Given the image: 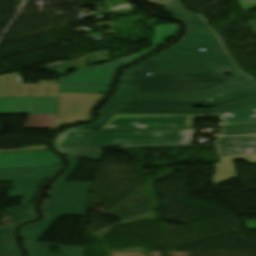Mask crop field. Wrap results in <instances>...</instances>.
I'll return each mask as SVG.
<instances>
[{"label": "crop field", "mask_w": 256, "mask_h": 256, "mask_svg": "<svg viewBox=\"0 0 256 256\" xmlns=\"http://www.w3.org/2000/svg\"><path fill=\"white\" fill-rule=\"evenodd\" d=\"M194 129L94 132L70 127L54 140V148L64 155L97 161L101 159V148H154L191 145Z\"/></svg>", "instance_id": "8a807250"}, {"label": "crop field", "mask_w": 256, "mask_h": 256, "mask_svg": "<svg viewBox=\"0 0 256 256\" xmlns=\"http://www.w3.org/2000/svg\"><path fill=\"white\" fill-rule=\"evenodd\" d=\"M185 36L174 47L150 58L163 62L154 73L202 72L233 61L203 20L186 23ZM200 48L206 49L199 51Z\"/></svg>", "instance_id": "ac0d7876"}, {"label": "crop field", "mask_w": 256, "mask_h": 256, "mask_svg": "<svg viewBox=\"0 0 256 256\" xmlns=\"http://www.w3.org/2000/svg\"><path fill=\"white\" fill-rule=\"evenodd\" d=\"M161 62L146 59L123 72L121 83L140 86L136 92H166V91H201L226 84L252 79L249 74H244L236 64L202 73H176V74H151ZM232 75L230 78L224 74ZM195 76L197 79H186Z\"/></svg>", "instance_id": "34b2d1b8"}, {"label": "crop field", "mask_w": 256, "mask_h": 256, "mask_svg": "<svg viewBox=\"0 0 256 256\" xmlns=\"http://www.w3.org/2000/svg\"><path fill=\"white\" fill-rule=\"evenodd\" d=\"M66 157L70 161L69 169L52 184L53 190L47 193L50 199L41 204L45 219L43 222L29 224L21 228L22 239L37 241L60 215H83L92 183H64L76 168L78 161L77 157Z\"/></svg>", "instance_id": "412701ff"}, {"label": "crop field", "mask_w": 256, "mask_h": 256, "mask_svg": "<svg viewBox=\"0 0 256 256\" xmlns=\"http://www.w3.org/2000/svg\"><path fill=\"white\" fill-rule=\"evenodd\" d=\"M58 97L0 98V114H29L23 129H50Z\"/></svg>", "instance_id": "f4fd0767"}, {"label": "crop field", "mask_w": 256, "mask_h": 256, "mask_svg": "<svg viewBox=\"0 0 256 256\" xmlns=\"http://www.w3.org/2000/svg\"><path fill=\"white\" fill-rule=\"evenodd\" d=\"M214 145L221 164H215L213 186L236 177L233 159L256 163V136L217 138Z\"/></svg>", "instance_id": "dd49c442"}, {"label": "crop field", "mask_w": 256, "mask_h": 256, "mask_svg": "<svg viewBox=\"0 0 256 256\" xmlns=\"http://www.w3.org/2000/svg\"><path fill=\"white\" fill-rule=\"evenodd\" d=\"M138 87L119 84L114 98L125 100H199L211 101V98L256 88V80H248L201 92L134 93Z\"/></svg>", "instance_id": "e52e79f7"}, {"label": "crop field", "mask_w": 256, "mask_h": 256, "mask_svg": "<svg viewBox=\"0 0 256 256\" xmlns=\"http://www.w3.org/2000/svg\"><path fill=\"white\" fill-rule=\"evenodd\" d=\"M124 59H116L105 66L76 70L73 75L58 78L61 84H111L114 73L123 66ZM59 85V92L107 93L111 86Z\"/></svg>", "instance_id": "d8731c3e"}, {"label": "crop field", "mask_w": 256, "mask_h": 256, "mask_svg": "<svg viewBox=\"0 0 256 256\" xmlns=\"http://www.w3.org/2000/svg\"><path fill=\"white\" fill-rule=\"evenodd\" d=\"M210 115L115 114L100 130L192 127V118Z\"/></svg>", "instance_id": "5a996713"}, {"label": "crop field", "mask_w": 256, "mask_h": 256, "mask_svg": "<svg viewBox=\"0 0 256 256\" xmlns=\"http://www.w3.org/2000/svg\"><path fill=\"white\" fill-rule=\"evenodd\" d=\"M105 94H73L59 93L58 105L62 110L58 111V119L53 129L72 122L87 120L90 118L92 108L104 97Z\"/></svg>", "instance_id": "3316defc"}, {"label": "crop field", "mask_w": 256, "mask_h": 256, "mask_svg": "<svg viewBox=\"0 0 256 256\" xmlns=\"http://www.w3.org/2000/svg\"><path fill=\"white\" fill-rule=\"evenodd\" d=\"M56 83L57 81H38ZM58 96V85L20 84L18 72L0 76V97Z\"/></svg>", "instance_id": "28ad6ade"}, {"label": "crop field", "mask_w": 256, "mask_h": 256, "mask_svg": "<svg viewBox=\"0 0 256 256\" xmlns=\"http://www.w3.org/2000/svg\"><path fill=\"white\" fill-rule=\"evenodd\" d=\"M63 164L49 149L0 153V168Z\"/></svg>", "instance_id": "d1516ede"}, {"label": "crop field", "mask_w": 256, "mask_h": 256, "mask_svg": "<svg viewBox=\"0 0 256 256\" xmlns=\"http://www.w3.org/2000/svg\"><path fill=\"white\" fill-rule=\"evenodd\" d=\"M256 105V98L217 107L213 110H194L193 108H120L117 113L151 114H222Z\"/></svg>", "instance_id": "22f410ed"}, {"label": "crop field", "mask_w": 256, "mask_h": 256, "mask_svg": "<svg viewBox=\"0 0 256 256\" xmlns=\"http://www.w3.org/2000/svg\"><path fill=\"white\" fill-rule=\"evenodd\" d=\"M10 215L12 225L10 228L0 229V256H19L11 238L13 227L23 221L35 218L32 212V204L6 209Z\"/></svg>", "instance_id": "cbeb9de0"}, {"label": "crop field", "mask_w": 256, "mask_h": 256, "mask_svg": "<svg viewBox=\"0 0 256 256\" xmlns=\"http://www.w3.org/2000/svg\"><path fill=\"white\" fill-rule=\"evenodd\" d=\"M24 247L28 252V256H57L49 252L50 246L61 247L59 256H81L82 249L80 247L23 241Z\"/></svg>", "instance_id": "5142ce71"}, {"label": "crop field", "mask_w": 256, "mask_h": 256, "mask_svg": "<svg viewBox=\"0 0 256 256\" xmlns=\"http://www.w3.org/2000/svg\"><path fill=\"white\" fill-rule=\"evenodd\" d=\"M86 58L89 63L87 64ZM110 60L109 51H97L87 56L80 57L68 62L60 63L59 68H53L56 74L66 73L69 69H87L92 63L104 62Z\"/></svg>", "instance_id": "d9b57169"}, {"label": "crop field", "mask_w": 256, "mask_h": 256, "mask_svg": "<svg viewBox=\"0 0 256 256\" xmlns=\"http://www.w3.org/2000/svg\"><path fill=\"white\" fill-rule=\"evenodd\" d=\"M177 31H178L177 24L157 25L155 28L153 47H149L139 53H136L132 56L125 58L124 65L150 53L151 51L156 49L158 45H163L165 40L168 37H174Z\"/></svg>", "instance_id": "733c2abd"}, {"label": "crop field", "mask_w": 256, "mask_h": 256, "mask_svg": "<svg viewBox=\"0 0 256 256\" xmlns=\"http://www.w3.org/2000/svg\"><path fill=\"white\" fill-rule=\"evenodd\" d=\"M219 116L225 126L256 125V106Z\"/></svg>", "instance_id": "4a817a6b"}, {"label": "crop field", "mask_w": 256, "mask_h": 256, "mask_svg": "<svg viewBox=\"0 0 256 256\" xmlns=\"http://www.w3.org/2000/svg\"><path fill=\"white\" fill-rule=\"evenodd\" d=\"M125 100H119L111 98L99 111V117L96 122L89 124V125H82L79 127L90 128L99 130L103 124L112 116L114 115L117 110L125 103Z\"/></svg>", "instance_id": "bc2a9ffb"}, {"label": "crop field", "mask_w": 256, "mask_h": 256, "mask_svg": "<svg viewBox=\"0 0 256 256\" xmlns=\"http://www.w3.org/2000/svg\"><path fill=\"white\" fill-rule=\"evenodd\" d=\"M193 105H212V103L185 101H127L122 107H193Z\"/></svg>", "instance_id": "214f88e0"}, {"label": "crop field", "mask_w": 256, "mask_h": 256, "mask_svg": "<svg viewBox=\"0 0 256 256\" xmlns=\"http://www.w3.org/2000/svg\"><path fill=\"white\" fill-rule=\"evenodd\" d=\"M163 6L167 12L172 14V17H176L184 22L192 21L199 17L197 14L185 10L178 0H172Z\"/></svg>", "instance_id": "92a150f3"}, {"label": "crop field", "mask_w": 256, "mask_h": 256, "mask_svg": "<svg viewBox=\"0 0 256 256\" xmlns=\"http://www.w3.org/2000/svg\"><path fill=\"white\" fill-rule=\"evenodd\" d=\"M253 97H256V89L214 98L212 99V103L214 107H217V106H221V105H225V104H229V103H233V102H237V101H241V100H245Z\"/></svg>", "instance_id": "dafd665d"}, {"label": "crop field", "mask_w": 256, "mask_h": 256, "mask_svg": "<svg viewBox=\"0 0 256 256\" xmlns=\"http://www.w3.org/2000/svg\"><path fill=\"white\" fill-rule=\"evenodd\" d=\"M256 134V127L222 128L220 136L253 135Z\"/></svg>", "instance_id": "00972430"}, {"label": "crop field", "mask_w": 256, "mask_h": 256, "mask_svg": "<svg viewBox=\"0 0 256 256\" xmlns=\"http://www.w3.org/2000/svg\"><path fill=\"white\" fill-rule=\"evenodd\" d=\"M105 4L109 13L135 8V6L128 4L125 0H105Z\"/></svg>", "instance_id": "a9b5d70f"}, {"label": "crop field", "mask_w": 256, "mask_h": 256, "mask_svg": "<svg viewBox=\"0 0 256 256\" xmlns=\"http://www.w3.org/2000/svg\"><path fill=\"white\" fill-rule=\"evenodd\" d=\"M240 4L242 8L245 10L247 8L256 6V0H240Z\"/></svg>", "instance_id": "4177f3b9"}, {"label": "crop field", "mask_w": 256, "mask_h": 256, "mask_svg": "<svg viewBox=\"0 0 256 256\" xmlns=\"http://www.w3.org/2000/svg\"><path fill=\"white\" fill-rule=\"evenodd\" d=\"M35 149H47V146H42V147H30V148H24V149H19V150H9V151H22V150H35ZM0 152H8V151H1Z\"/></svg>", "instance_id": "730fd06b"}, {"label": "crop field", "mask_w": 256, "mask_h": 256, "mask_svg": "<svg viewBox=\"0 0 256 256\" xmlns=\"http://www.w3.org/2000/svg\"><path fill=\"white\" fill-rule=\"evenodd\" d=\"M149 2H152V3H155V4H160L164 1H167V0H148Z\"/></svg>", "instance_id": "eef30255"}, {"label": "crop field", "mask_w": 256, "mask_h": 256, "mask_svg": "<svg viewBox=\"0 0 256 256\" xmlns=\"http://www.w3.org/2000/svg\"><path fill=\"white\" fill-rule=\"evenodd\" d=\"M254 221H256V220H254ZM245 222H246V221H245ZM249 225H256V223H247V222H246L247 228H256V226H249Z\"/></svg>", "instance_id": "ae1a2a85"}]
</instances>
